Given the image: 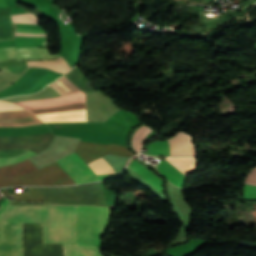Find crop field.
Instances as JSON below:
<instances>
[{
    "mask_svg": "<svg viewBox=\"0 0 256 256\" xmlns=\"http://www.w3.org/2000/svg\"><path fill=\"white\" fill-rule=\"evenodd\" d=\"M37 153L33 152V151H28L24 154H21L17 157H14V158H0V166H3V165H8V164H13V163H16L20 160H23V159H26V158H29L33 155H35Z\"/></svg>",
    "mask_w": 256,
    "mask_h": 256,
    "instance_id": "bc2a9ffb",
    "label": "crop field"
},
{
    "mask_svg": "<svg viewBox=\"0 0 256 256\" xmlns=\"http://www.w3.org/2000/svg\"><path fill=\"white\" fill-rule=\"evenodd\" d=\"M15 32H22V33H46L45 31L26 30V29H19V28H16Z\"/></svg>",
    "mask_w": 256,
    "mask_h": 256,
    "instance_id": "dafd665d",
    "label": "crop field"
},
{
    "mask_svg": "<svg viewBox=\"0 0 256 256\" xmlns=\"http://www.w3.org/2000/svg\"><path fill=\"white\" fill-rule=\"evenodd\" d=\"M16 27L19 28H27V29H38V30H43L41 27H39L38 25H29V24H19L16 23Z\"/></svg>",
    "mask_w": 256,
    "mask_h": 256,
    "instance_id": "92a150f3",
    "label": "crop field"
},
{
    "mask_svg": "<svg viewBox=\"0 0 256 256\" xmlns=\"http://www.w3.org/2000/svg\"><path fill=\"white\" fill-rule=\"evenodd\" d=\"M65 77H67L71 82H73L78 88L82 89L86 93H88L87 89L84 87V85L81 83L80 79L82 75L75 67L73 70H71L69 73L65 74Z\"/></svg>",
    "mask_w": 256,
    "mask_h": 256,
    "instance_id": "733c2abd",
    "label": "crop field"
},
{
    "mask_svg": "<svg viewBox=\"0 0 256 256\" xmlns=\"http://www.w3.org/2000/svg\"><path fill=\"white\" fill-rule=\"evenodd\" d=\"M60 57L59 54L50 56L45 48H0V61L6 59L30 60Z\"/></svg>",
    "mask_w": 256,
    "mask_h": 256,
    "instance_id": "e52e79f7",
    "label": "crop field"
},
{
    "mask_svg": "<svg viewBox=\"0 0 256 256\" xmlns=\"http://www.w3.org/2000/svg\"><path fill=\"white\" fill-rule=\"evenodd\" d=\"M84 102H86L85 93L81 91L78 93L66 95L59 98L15 102V104L22 106L25 109H33V108H45V107H57V106H64L72 103H84Z\"/></svg>",
    "mask_w": 256,
    "mask_h": 256,
    "instance_id": "d8731c3e",
    "label": "crop field"
},
{
    "mask_svg": "<svg viewBox=\"0 0 256 256\" xmlns=\"http://www.w3.org/2000/svg\"><path fill=\"white\" fill-rule=\"evenodd\" d=\"M128 167H130L132 170H134L136 173H138L149 183H151L154 187L161 191L163 181L160 180L157 176H155L152 172L147 170L145 167H143L141 164H139L133 159L129 162Z\"/></svg>",
    "mask_w": 256,
    "mask_h": 256,
    "instance_id": "cbeb9de0",
    "label": "crop field"
},
{
    "mask_svg": "<svg viewBox=\"0 0 256 256\" xmlns=\"http://www.w3.org/2000/svg\"><path fill=\"white\" fill-rule=\"evenodd\" d=\"M28 67L49 68L58 73H66L72 69L62 57L53 61H28Z\"/></svg>",
    "mask_w": 256,
    "mask_h": 256,
    "instance_id": "22f410ed",
    "label": "crop field"
},
{
    "mask_svg": "<svg viewBox=\"0 0 256 256\" xmlns=\"http://www.w3.org/2000/svg\"><path fill=\"white\" fill-rule=\"evenodd\" d=\"M0 222L43 223V244L75 245L76 207L9 205Z\"/></svg>",
    "mask_w": 256,
    "mask_h": 256,
    "instance_id": "ac0d7876",
    "label": "crop field"
},
{
    "mask_svg": "<svg viewBox=\"0 0 256 256\" xmlns=\"http://www.w3.org/2000/svg\"><path fill=\"white\" fill-rule=\"evenodd\" d=\"M109 220L110 208L77 207L76 245L100 249L101 238Z\"/></svg>",
    "mask_w": 256,
    "mask_h": 256,
    "instance_id": "f4fd0767",
    "label": "crop field"
},
{
    "mask_svg": "<svg viewBox=\"0 0 256 256\" xmlns=\"http://www.w3.org/2000/svg\"><path fill=\"white\" fill-rule=\"evenodd\" d=\"M12 201H10V200H8V199H6L5 198V200L3 201V203L0 205V214H1V212L6 208V206L8 205V204H10Z\"/></svg>",
    "mask_w": 256,
    "mask_h": 256,
    "instance_id": "00972430",
    "label": "crop field"
},
{
    "mask_svg": "<svg viewBox=\"0 0 256 256\" xmlns=\"http://www.w3.org/2000/svg\"><path fill=\"white\" fill-rule=\"evenodd\" d=\"M167 162L171 167H173L176 171H178L182 176L186 177L180 170H178L174 165H172L166 159L164 160ZM162 161L161 163L157 164L158 168H156L161 174H163L169 182L179 186L182 188V183L184 181V177H182L178 172H176L173 168H171L167 163Z\"/></svg>",
    "mask_w": 256,
    "mask_h": 256,
    "instance_id": "d1516ede",
    "label": "crop field"
},
{
    "mask_svg": "<svg viewBox=\"0 0 256 256\" xmlns=\"http://www.w3.org/2000/svg\"><path fill=\"white\" fill-rule=\"evenodd\" d=\"M46 44L45 37H23L15 36L14 40L0 41V47H44Z\"/></svg>",
    "mask_w": 256,
    "mask_h": 256,
    "instance_id": "28ad6ade",
    "label": "crop field"
},
{
    "mask_svg": "<svg viewBox=\"0 0 256 256\" xmlns=\"http://www.w3.org/2000/svg\"><path fill=\"white\" fill-rule=\"evenodd\" d=\"M53 135L0 137V150L32 149L38 153L48 149ZM27 150L0 151V157L17 156Z\"/></svg>",
    "mask_w": 256,
    "mask_h": 256,
    "instance_id": "dd49c442",
    "label": "crop field"
},
{
    "mask_svg": "<svg viewBox=\"0 0 256 256\" xmlns=\"http://www.w3.org/2000/svg\"><path fill=\"white\" fill-rule=\"evenodd\" d=\"M147 147L149 148L147 152L149 154L170 156L168 139L165 141L148 144Z\"/></svg>",
    "mask_w": 256,
    "mask_h": 256,
    "instance_id": "5142ce71",
    "label": "crop field"
},
{
    "mask_svg": "<svg viewBox=\"0 0 256 256\" xmlns=\"http://www.w3.org/2000/svg\"><path fill=\"white\" fill-rule=\"evenodd\" d=\"M28 192L2 193L14 195V200L41 201L66 205H102L106 206L100 182L71 187H29Z\"/></svg>",
    "mask_w": 256,
    "mask_h": 256,
    "instance_id": "412701ff",
    "label": "crop field"
},
{
    "mask_svg": "<svg viewBox=\"0 0 256 256\" xmlns=\"http://www.w3.org/2000/svg\"><path fill=\"white\" fill-rule=\"evenodd\" d=\"M150 132H152L150 128L145 126H143L137 132H135L132 140V147L136 150L137 153L143 143V140Z\"/></svg>",
    "mask_w": 256,
    "mask_h": 256,
    "instance_id": "d9b57169",
    "label": "crop field"
},
{
    "mask_svg": "<svg viewBox=\"0 0 256 256\" xmlns=\"http://www.w3.org/2000/svg\"><path fill=\"white\" fill-rule=\"evenodd\" d=\"M86 164L107 154H116L131 157L134 154L124 147L109 144L106 146L80 142L75 152ZM71 154L57 163L78 183L99 181L119 174L96 176L88 166L75 154ZM56 162L23 176L0 181V187L18 185H73L77 184Z\"/></svg>",
    "mask_w": 256,
    "mask_h": 256,
    "instance_id": "8a807250",
    "label": "crop field"
},
{
    "mask_svg": "<svg viewBox=\"0 0 256 256\" xmlns=\"http://www.w3.org/2000/svg\"><path fill=\"white\" fill-rule=\"evenodd\" d=\"M34 170L37 168L26 159L17 164L0 167V180L11 179Z\"/></svg>",
    "mask_w": 256,
    "mask_h": 256,
    "instance_id": "3316defc",
    "label": "crop field"
},
{
    "mask_svg": "<svg viewBox=\"0 0 256 256\" xmlns=\"http://www.w3.org/2000/svg\"><path fill=\"white\" fill-rule=\"evenodd\" d=\"M13 22L29 23V24H38V20L32 13L20 14L11 16Z\"/></svg>",
    "mask_w": 256,
    "mask_h": 256,
    "instance_id": "4a817a6b",
    "label": "crop field"
},
{
    "mask_svg": "<svg viewBox=\"0 0 256 256\" xmlns=\"http://www.w3.org/2000/svg\"><path fill=\"white\" fill-rule=\"evenodd\" d=\"M126 139H127V137H126ZM81 141H82V139H81ZM86 142H88V141H86ZM95 143H99V144H103V145L108 144V143H100V142H95ZM115 144H117V143H115ZM118 145H122V146L126 147V141H125V144H118Z\"/></svg>",
    "mask_w": 256,
    "mask_h": 256,
    "instance_id": "730fd06b",
    "label": "crop field"
},
{
    "mask_svg": "<svg viewBox=\"0 0 256 256\" xmlns=\"http://www.w3.org/2000/svg\"><path fill=\"white\" fill-rule=\"evenodd\" d=\"M0 7H7L5 0H0Z\"/></svg>",
    "mask_w": 256,
    "mask_h": 256,
    "instance_id": "4177f3b9",
    "label": "crop field"
},
{
    "mask_svg": "<svg viewBox=\"0 0 256 256\" xmlns=\"http://www.w3.org/2000/svg\"><path fill=\"white\" fill-rule=\"evenodd\" d=\"M15 35H24V36H46V34H21V33H15Z\"/></svg>",
    "mask_w": 256,
    "mask_h": 256,
    "instance_id": "a9b5d70f",
    "label": "crop field"
},
{
    "mask_svg": "<svg viewBox=\"0 0 256 256\" xmlns=\"http://www.w3.org/2000/svg\"><path fill=\"white\" fill-rule=\"evenodd\" d=\"M24 12L25 10H23L21 7L0 8V40L13 39V24L10 18V14Z\"/></svg>",
    "mask_w": 256,
    "mask_h": 256,
    "instance_id": "5a996713",
    "label": "crop field"
},
{
    "mask_svg": "<svg viewBox=\"0 0 256 256\" xmlns=\"http://www.w3.org/2000/svg\"><path fill=\"white\" fill-rule=\"evenodd\" d=\"M244 198L246 200H256V187L245 184Z\"/></svg>",
    "mask_w": 256,
    "mask_h": 256,
    "instance_id": "214f88e0",
    "label": "crop field"
},
{
    "mask_svg": "<svg viewBox=\"0 0 256 256\" xmlns=\"http://www.w3.org/2000/svg\"><path fill=\"white\" fill-rule=\"evenodd\" d=\"M64 256H102L94 247L63 245ZM62 245H42V224H23L24 256H63ZM0 256H23L22 224L0 223Z\"/></svg>",
    "mask_w": 256,
    "mask_h": 256,
    "instance_id": "34b2d1b8",
    "label": "crop field"
}]
</instances>
